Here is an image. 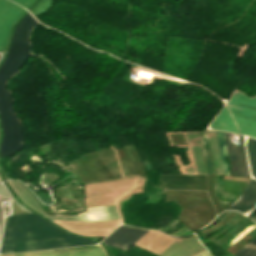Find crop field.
<instances>
[{
	"label": "crop field",
	"mask_w": 256,
	"mask_h": 256,
	"mask_svg": "<svg viewBox=\"0 0 256 256\" xmlns=\"http://www.w3.org/2000/svg\"><path fill=\"white\" fill-rule=\"evenodd\" d=\"M85 244L96 243L70 235L34 213L18 214L5 218L0 253Z\"/></svg>",
	"instance_id": "crop-field-1"
},
{
	"label": "crop field",
	"mask_w": 256,
	"mask_h": 256,
	"mask_svg": "<svg viewBox=\"0 0 256 256\" xmlns=\"http://www.w3.org/2000/svg\"><path fill=\"white\" fill-rule=\"evenodd\" d=\"M27 56L8 54L5 62L0 67V120L3 130V139L0 147L1 157L12 155L23 147V131L12 110V97L5 84L7 79L23 66Z\"/></svg>",
	"instance_id": "crop-field-2"
},
{
	"label": "crop field",
	"mask_w": 256,
	"mask_h": 256,
	"mask_svg": "<svg viewBox=\"0 0 256 256\" xmlns=\"http://www.w3.org/2000/svg\"><path fill=\"white\" fill-rule=\"evenodd\" d=\"M227 104L247 136L256 138V97L250 99L235 92ZM210 127L214 130L244 134L226 105L212 121Z\"/></svg>",
	"instance_id": "crop-field-3"
},
{
	"label": "crop field",
	"mask_w": 256,
	"mask_h": 256,
	"mask_svg": "<svg viewBox=\"0 0 256 256\" xmlns=\"http://www.w3.org/2000/svg\"><path fill=\"white\" fill-rule=\"evenodd\" d=\"M9 185L21 198V200L27 204L30 208L43 214L51 220H87V221H104V220H115L120 219L117 212L116 206H104L97 208L86 209L87 212L80 213L79 216H63V215H47L40 207L33 195H31L21 184L15 181H8ZM42 215V216H43Z\"/></svg>",
	"instance_id": "crop-field-4"
},
{
	"label": "crop field",
	"mask_w": 256,
	"mask_h": 256,
	"mask_svg": "<svg viewBox=\"0 0 256 256\" xmlns=\"http://www.w3.org/2000/svg\"><path fill=\"white\" fill-rule=\"evenodd\" d=\"M25 10L8 0H0V51L4 50L11 27Z\"/></svg>",
	"instance_id": "crop-field-5"
},
{
	"label": "crop field",
	"mask_w": 256,
	"mask_h": 256,
	"mask_svg": "<svg viewBox=\"0 0 256 256\" xmlns=\"http://www.w3.org/2000/svg\"><path fill=\"white\" fill-rule=\"evenodd\" d=\"M148 230H134L126 227L119 226L113 233H111L103 242L127 250L133 245L143 234Z\"/></svg>",
	"instance_id": "crop-field-6"
},
{
	"label": "crop field",
	"mask_w": 256,
	"mask_h": 256,
	"mask_svg": "<svg viewBox=\"0 0 256 256\" xmlns=\"http://www.w3.org/2000/svg\"><path fill=\"white\" fill-rule=\"evenodd\" d=\"M224 134L227 142L232 175L250 177L242 136L239 135L241 145L234 147L228 143V133Z\"/></svg>",
	"instance_id": "crop-field-7"
},
{
	"label": "crop field",
	"mask_w": 256,
	"mask_h": 256,
	"mask_svg": "<svg viewBox=\"0 0 256 256\" xmlns=\"http://www.w3.org/2000/svg\"><path fill=\"white\" fill-rule=\"evenodd\" d=\"M3 256H106L99 246L3 255Z\"/></svg>",
	"instance_id": "crop-field-8"
},
{
	"label": "crop field",
	"mask_w": 256,
	"mask_h": 256,
	"mask_svg": "<svg viewBox=\"0 0 256 256\" xmlns=\"http://www.w3.org/2000/svg\"><path fill=\"white\" fill-rule=\"evenodd\" d=\"M255 204H256V180L251 179L249 180L241 196L237 199V201L233 205H231L227 209H234L243 213L245 210L253 208Z\"/></svg>",
	"instance_id": "crop-field-9"
},
{
	"label": "crop field",
	"mask_w": 256,
	"mask_h": 256,
	"mask_svg": "<svg viewBox=\"0 0 256 256\" xmlns=\"http://www.w3.org/2000/svg\"><path fill=\"white\" fill-rule=\"evenodd\" d=\"M35 23V19L28 13L17 25L11 43L29 44L28 33Z\"/></svg>",
	"instance_id": "crop-field-10"
},
{
	"label": "crop field",
	"mask_w": 256,
	"mask_h": 256,
	"mask_svg": "<svg viewBox=\"0 0 256 256\" xmlns=\"http://www.w3.org/2000/svg\"><path fill=\"white\" fill-rule=\"evenodd\" d=\"M246 147H247L251 175L256 177V140L249 138L246 143Z\"/></svg>",
	"instance_id": "crop-field-11"
},
{
	"label": "crop field",
	"mask_w": 256,
	"mask_h": 256,
	"mask_svg": "<svg viewBox=\"0 0 256 256\" xmlns=\"http://www.w3.org/2000/svg\"><path fill=\"white\" fill-rule=\"evenodd\" d=\"M216 133H217L224 173H225V175H230L229 169H228V166L226 163L227 150H226V146H225L224 135H223V132L216 131Z\"/></svg>",
	"instance_id": "crop-field-12"
},
{
	"label": "crop field",
	"mask_w": 256,
	"mask_h": 256,
	"mask_svg": "<svg viewBox=\"0 0 256 256\" xmlns=\"http://www.w3.org/2000/svg\"><path fill=\"white\" fill-rule=\"evenodd\" d=\"M235 256H256V239L238 251Z\"/></svg>",
	"instance_id": "crop-field-13"
},
{
	"label": "crop field",
	"mask_w": 256,
	"mask_h": 256,
	"mask_svg": "<svg viewBox=\"0 0 256 256\" xmlns=\"http://www.w3.org/2000/svg\"><path fill=\"white\" fill-rule=\"evenodd\" d=\"M8 53L29 54V45L11 44Z\"/></svg>",
	"instance_id": "crop-field-14"
},
{
	"label": "crop field",
	"mask_w": 256,
	"mask_h": 256,
	"mask_svg": "<svg viewBox=\"0 0 256 256\" xmlns=\"http://www.w3.org/2000/svg\"><path fill=\"white\" fill-rule=\"evenodd\" d=\"M16 2H18L20 5L28 8L32 5V3L35 1V0H14Z\"/></svg>",
	"instance_id": "crop-field-15"
},
{
	"label": "crop field",
	"mask_w": 256,
	"mask_h": 256,
	"mask_svg": "<svg viewBox=\"0 0 256 256\" xmlns=\"http://www.w3.org/2000/svg\"><path fill=\"white\" fill-rule=\"evenodd\" d=\"M249 218L256 221V207L251 211V213L248 215Z\"/></svg>",
	"instance_id": "crop-field-16"
},
{
	"label": "crop field",
	"mask_w": 256,
	"mask_h": 256,
	"mask_svg": "<svg viewBox=\"0 0 256 256\" xmlns=\"http://www.w3.org/2000/svg\"><path fill=\"white\" fill-rule=\"evenodd\" d=\"M195 256H211L209 252L205 249L201 251L200 253L196 254Z\"/></svg>",
	"instance_id": "crop-field-17"
}]
</instances>
